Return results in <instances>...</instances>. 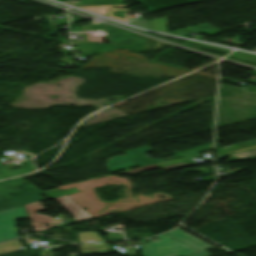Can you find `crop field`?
<instances>
[{
  "label": "crop field",
  "mask_w": 256,
  "mask_h": 256,
  "mask_svg": "<svg viewBox=\"0 0 256 256\" xmlns=\"http://www.w3.org/2000/svg\"><path fill=\"white\" fill-rule=\"evenodd\" d=\"M159 237L141 246V256H211L204 250L214 248L178 228Z\"/></svg>",
  "instance_id": "obj_1"
},
{
  "label": "crop field",
  "mask_w": 256,
  "mask_h": 256,
  "mask_svg": "<svg viewBox=\"0 0 256 256\" xmlns=\"http://www.w3.org/2000/svg\"><path fill=\"white\" fill-rule=\"evenodd\" d=\"M153 151L150 147L145 146L129 151L126 154L107 159V166L110 172L133 167L143 166L151 163L162 162L163 160L151 159L144 153Z\"/></svg>",
  "instance_id": "obj_2"
},
{
  "label": "crop field",
  "mask_w": 256,
  "mask_h": 256,
  "mask_svg": "<svg viewBox=\"0 0 256 256\" xmlns=\"http://www.w3.org/2000/svg\"><path fill=\"white\" fill-rule=\"evenodd\" d=\"M29 218L25 206L0 211V241L16 238L14 219Z\"/></svg>",
  "instance_id": "obj_3"
},
{
  "label": "crop field",
  "mask_w": 256,
  "mask_h": 256,
  "mask_svg": "<svg viewBox=\"0 0 256 256\" xmlns=\"http://www.w3.org/2000/svg\"><path fill=\"white\" fill-rule=\"evenodd\" d=\"M44 200L43 196L33 191H26L16 197L8 195V180L0 182V210Z\"/></svg>",
  "instance_id": "obj_4"
},
{
  "label": "crop field",
  "mask_w": 256,
  "mask_h": 256,
  "mask_svg": "<svg viewBox=\"0 0 256 256\" xmlns=\"http://www.w3.org/2000/svg\"><path fill=\"white\" fill-rule=\"evenodd\" d=\"M25 206L27 208L29 215H30V213H33V212L46 210L42 207L40 202L27 204ZM30 217H31V221L34 226L35 232L41 231L43 229L51 228L52 226L61 223V221H54V219H52L46 215H42V214H38V213H34V214L30 215ZM45 223L49 224L48 228H46Z\"/></svg>",
  "instance_id": "obj_5"
},
{
  "label": "crop field",
  "mask_w": 256,
  "mask_h": 256,
  "mask_svg": "<svg viewBox=\"0 0 256 256\" xmlns=\"http://www.w3.org/2000/svg\"><path fill=\"white\" fill-rule=\"evenodd\" d=\"M69 197V196H68ZM67 196L55 198L54 200L58 202L65 210H67L77 221L91 219L84 210H82L78 205H76L71 199Z\"/></svg>",
  "instance_id": "obj_6"
},
{
  "label": "crop field",
  "mask_w": 256,
  "mask_h": 256,
  "mask_svg": "<svg viewBox=\"0 0 256 256\" xmlns=\"http://www.w3.org/2000/svg\"><path fill=\"white\" fill-rule=\"evenodd\" d=\"M24 164H25L26 168L14 169V170H9L8 167L2 166L0 164V179L9 178V177H13V176H17V175H21V174H25V173L34 171V166L31 162V160L24 161Z\"/></svg>",
  "instance_id": "obj_7"
},
{
  "label": "crop field",
  "mask_w": 256,
  "mask_h": 256,
  "mask_svg": "<svg viewBox=\"0 0 256 256\" xmlns=\"http://www.w3.org/2000/svg\"><path fill=\"white\" fill-rule=\"evenodd\" d=\"M190 31L196 32V33L208 34V35H213L218 32H221L217 29L210 27L207 24H203V25L194 26V27H190V28H186V29H182V30H177V31H172V32H168V33L175 34L178 36H186Z\"/></svg>",
  "instance_id": "obj_8"
},
{
  "label": "crop field",
  "mask_w": 256,
  "mask_h": 256,
  "mask_svg": "<svg viewBox=\"0 0 256 256\" xmlns=\"http://www.w3.org/2000/svg\"><path fill=\"white\" fill-rule=\"evenodd\" d=\"M21 249H24V247L21 245V243L18 240L0 244V254L12 252L15 250H21Z\"/></svg>",
  "instance_id": "obj_9"
},
{
  "label": "crop field",
  "mask_w": 256,
  "mask_h": 256,
  "mask_svg": "<svg viewBox=\"0 0 256 256\" xmlns=\"http://www.w3.org/2000/svg\"><path fill=\"white\" fill-rule=\"evenodd\" d=\"M228 58H232L235 60H239L242 62L256 65V56L255 55L245 54V53H241V52H235L232 55H230Z\"/></svg>",
  "instance_id": "obj_10"
},
{
  "label": "crop field",
  "mask_w": 256,
  "mask_h": 256,
  "mask_svg": "<svg viewBox=\"0 0 256 256\" xmlns=\"http://www.w3.org/2000/svg\"><path fill=\"white\" fill-rule=\"evenodd\" d=\"M82 252L111 250L107 243L80 245Z\"/></svg>",
  "instance_id": "obj_11"
},
{
  "label": "crop field",
  "mask_w": 256,
  "mask_h": 256,
  "mask_svg": "<svg viewBox=\"0 0 256 256\" xmlns=\"http://www.w3.org/2000/svg\"><path fill=\"white\" fill-rule=\"evenodd\" d=\"M184 45H188V46H191V47H194V48H198V49L203 47L205 49L219 51V52H224V53H227V54L229 52H231L230 50L225 49V48L211 46V45H206V44H201V43H196V42H191V41H187L186 43H184Z\"/></svg>",
  "instance_id": "obj_12"
},
{
  "label": "crop field",
  "mask_w": 256,
  "mask_h": 256,
  "mask_svg": "<svg viewBox=\"0 0 256 256\" xmlns=\"http://www.w3.org/2000/svg\"><path fill=\"white\" fill-rule=\"evenodd\" d=\"M150 23H151L150 29L152 30H157L161 32L167 31V17L150 21Z\"/></svg>",
  "instance_id": "obj_13"
},
{
  "label": "crop field",
  "mask_w": 256,
  "mask_h": 256,
  "mask_svg": "<svg viewBox=\"0 0 256 256\" xmlns=\"http://www.w3.org/2000/svg\"><path fill=\"white\" fill-rule=\"evenodd\" d=\"M80 242H95V241H102L96 232H83L78 233Z\"/></svg>",
  "instance_id": "obj_14"
},
{
  "label": "crop field",
  "mask_w": 256,
  "mask_h": 256,
  "mask_svg": "<svg viewBox=\"0 0 256 256\" xmlns=\"http://www.w3.org/2000/svg\"><path fill=\"white\" fill-rule=\"evenodd\" d=\"M255 156H256V155L249 156V157H245V158H241L240 160L247 159V158H251V157H255Z\"/></svg>",
  "instance_id": "obj_15"
}]
</instances>
